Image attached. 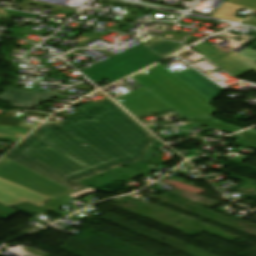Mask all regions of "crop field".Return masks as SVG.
I'll list each match as a JSON object with an SVG mask.
<instances>
[{
	"instance_id": "obj_14",
	"label": "crop field",
	"mask_w": 256,
	"mask_h": 256,
	"mask_svg": "<svg viewBox=\"0 0 256 256\" xmlns=\"http://www.w3.org/2000/svg\"><path fill=\"white\" fill-rule=\"evenodd\" d=\"M11 16H23V17H29V18L37 17V15H31V14H25V13H19L15 11L0 9V19L5 17H11Z\"/></svg>"
},
{
	"instance_id": "obj_2",
	"label": "crop field",
	"mask_w": 256,
	"mask_h": 256,
	"mask_svg": "<svg viewBox=\"0 0 256 256\" xmlns=\"http://www.w3.org/2000/svg\"><path fill=\"white\" fill-rule=\"evenodd\" d=\"M74 191L5 157L0 160V203L29 201L42 207L50 198Z\"/></svg>"
},
{
	"instance_id": "obj_8",
	"label": "crop field",
	"mask_w": 256,
	"mask_h": 256,
	"mask_svg": "<svg viewBox=\"0 0 256 256\" xmlns=\"http://www.w3.org/2000/svg\"><path fill=\"white\" fill-rule=\"evenodd\" d=\"M176 75L211 101L225 91L192 68Z\"/></svg>"
},
{
	"instance_id": "obj_15",
	"label": "crop field",
	"mask_w": 256,
	"mask_h": 256,
	"mask_svg": "<svg viewBox=\"0 0 256 256\" xmlns=\"http://www.w3.org/2000/svg\"><path fill=\"white\" fill-rule=\"evenodd\" d=\"M21 120L0 116V125L17 126ZM30 130V129H29Z\"/></svg>"
},
{
	"instance_id": "obj_6",
	"label": "crop field",
	"mask_w": 256,
	"mask_h": 256,
	"mask_svg": "<svg viewBox=\"0 0 256 256\" xmlns=\"http://www.w3.org/2000/svg\"><path fill=\"white\" fill-rule=\"evenodd\" d=\"M135 117L155 111L156 113L171 108L168 104L149 92L145 87L115 98Z\"/></svg>"
},
{
	"instance_id": "obj_3",
	"label": "crop field",
	"mask_w": 256,
	"mask_h": 256,
	"mask_svg": "<svg viewBox=\"0 0 256 256\" xmlns=\"http://www.w3.org/2000/svg\"><path fill=\"white\" fill-rule=\"evenodd\" d=\"M187 118L217 112L212 103L160 64L132 77Z\"/></svg>"
},
{
	"instance_id": "obj_12",
	"label": "crop field",
	"mask_w": 256,
	"mask_h": 256,
	"mask_svg": "<svg viewBox=\"0 0 256 256\" xmlns=\"http://www.w3.org/2000/svg\"><path fill=\"white\" fill-rule=\"evenodd\" d=\"M28 132L30 131L15 127L0 126V140L16 143Z\"/></svg>"
},
{
	"instance_id": "obj_10",
	"label": "crop field",
	"mask_w": 256,
	"mask_h": 256,
	"mask_svg": "<svg viewBox=\"0 0 256 256\" xmlns=\"http://www.w3.org/2000/svg\"><path fill=\"white\" fill-rule=\"evenodd\" d=\"M186 121H190V122H193V123L208 126V127H211V128H214V129H217V130H220V131H224V132H227V133H230V134H233L235 132L243 130V129H240V128H237V127L225 124V123H222V122H220L221 120L215 119V118H212V117L186 119Z\"/></svg>"
},
{
	"instance_id": "obj_9",
	"label": "crop field",
	"mask_w": 256,
	"mask_h": 256,
	"mask_svg": "<svg viewBox=\"0 0 256 256\" xmlns=\"http://www.w3.org/2000/svg\"><path fill=\"white\" fill-rule=\"evenodd\" d=\"M146 46L164 58L181 50V48L184 47L183 45H181L179 43L165 41L160 38L154 40L153 42H151L150 44H148Z\"/></svg>"
},
{
	"instance_id": "obj_16",
	"label": "crop field",
	"mask_w": 256,
	"mask_h": 256,
	"mask_svg": "<svg viewBox=\"0 0 256 256\" xmlns=\"http://www.w3.org/2000/svg\"><path fill=\"white\" fill-rule=\"evenodd\" d=\"M27 115H29V116H35V117L46 118L49 114L36 113V112H28Z\"/></svg>"
},
{
	"instance_id": "obj_4",
	"label": "crop field",
	"mask_w": 256,
	"mask_h": 256,
	"mask_svg": "<svg viewBox=\"0 0 256 256\" xmlns=\"http://www.w3.org/2000/svg\"><path fill=\"white\" fill-rule=\"evenodd\" d=\"M163 59L145 45L140 44L83 71V73L96 84L104 80L113 83Z\"/></svg>"
},
{
	"instance_id": "obj_7",
	"label": "crop field",
	"mask_w": 256,
	"mask_h": 256,
	"mask_svg": "<svg viewBox=\"0 0 256 256\" xmlns=\"http://www.w3.org/2000/svg\"><path fill=\"white\" fill-rule=\"evenodd\" d=\"M56 95L58 94L8 87L4 94L0 96V98L3 101L9 102L11 106L32 109Z\"/></svg>"
},
{
	"instance_id": "obj_11",
	"label": "crop field",
	"mask_w": 256,
	"mask_h": 256,
	"mask_svg": "<svg viewBox=\"0 0 256 256\" xmlns=\"http://www.w3.org/2000/svg\"><path fill=\"white\" fill-rule=\"evenodd\" d=\"M240 9H248L241 6H237L231 3H223L222 6L218 9V11L215 13V17L232 20V21H240L243 19L236 18V14ZM251 10V9H248ZM254 11V10H252ZM214 17V18H215Z\"/></svg>"
},
{
	"instance_id": "obj_5",
	"label": "crop field",
	"mask_w": 256,
	"mask_h": 256,
	"mask_svg": "<svg viewBox=\"0 0 256 256\" xmlns=\"http://www.w3.org/2000/svg\"><path fill=\"white\" fill-rule=\"evenodd\" d=\"M193 48L234 77L251 71L256 72V51L252 49L247 48L236 53L206 42Z\"/></svg>"
},
{
	"instance_id": "obj_17",
	"label": "crop field",
	"mask_w": 256,
	"mask_h": 256,
	"mask_svg": "<svg viewBox=\"0 0 256 256\" xmlns=\"http://www.w3.org/2000/svg\"><path fill=\"white\" fill-rule=\"evenodd\" d=\"M244 24H249V25L256 26V18H252V19L244 22Z\"/></svg>"
},
{
	"instance_id": "obj_13",
	"label": "crop field",
	"mask_w": 256,
	"mask_h": 256,
	"mask_svg": "<svg viewBox=\"0 0 256 256\" xmlns=\"http://www.w3.org/2000/svg\"><path fill=\"white\" fill-rule=\"evenodd\" d=\"M237 135H240L243 138L233 144L256 150V130L250 129Z\"/></svg>"
},
{
	"instance_id": "obj_1",
	"label": "crop field",
	"mask_w": 256,
	"mask_h": 256,
	"mask_svg": "<svg viewBox=\"0 0 256 256\" xmlns=\"http://www.w3.org/2000/svg\"><path fill=\"white\" fill-rule=\"evenodd\" d=\"M81 113L60 123L51 120L5 157L76 192L78 181L141 161L155 140L109 98L88 102Z\"/></svg>"
}]
</instances>
